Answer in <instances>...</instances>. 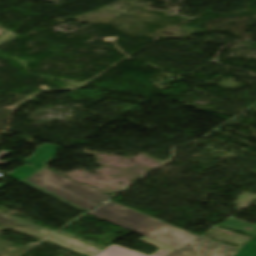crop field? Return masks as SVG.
<instances>
[{
	"instance_id": "obj_1",
	"label": "crop field",
	"mask_w": 256,
	"mask_h": 256,
	"mask_svg": "<svg viewBox=\"0 0 256 256\" xmlns=\"http://www.w3.org/2000/svg\"><path fill=\"white\" fill-rule=\"evenodd\" d=\"M90 215L177 249L167 256H233L239 251L111 201Z\"/></svg>"
},
{
	"instance_id": "obj_5",
	"label": "crop field",
	"mask_w": 256,
	"mask_h": 256,
	"mask_svg": "<svg viewBox=\"0 0 256 256\" xmlns=\"http://www.w3.org/2000/svg\"><path fill=\"white\" fill-rule=\"evenodd\" d=\"M247 225H249L253 228L251 230L247 231V230L244 229ZM219 226L226 227V228H229V229H233V230H236V231H239V232H243V233H246V234L251 235V236L256 235V225H253V224H250V223H247V222H243V221H239V220H235V219H231V218L225 220L224 222L219 224Z\"/></svg>"
},
{
	"instance_id": "obj_7",
	"label": "crop field",
	"mask_w": 256,
	"mask_h": 256,
	"mask_svg": "<svg viewBox=\"0 0 256 256\" xmlns=\"http://www.w3.org/2000/svg\"><path fill=\"white\" fill-rule=\"evenodd\" d=\"M256 236L234 256H256Z\"/></svg>"
},
{
	"instance_id": "obj_6",
	"label": "crop field",
	"mask_w": 256,
	"mask_h": 256,
	"mask_svg": "<svg viewBox=\"0 0 256 256\" xmlns=\"http://www.w3.org/2000/svg\"><path fill=\"white\" fill-rule=\"evenodd\" d=\"M37 170L33 169L32 167L26 165L24 167H20V168H16L15 170H13L12 172L8 173L7 175L20 180L26 176H28L29 174L35 172Z\"/></svg>"
},
{
	"instance_id": "obj_4",
	"label": "crop field",
	"mask_w": 256,
	"mask_h": 256,
	"mask_svg": "<svg viewBox=\"0 0 256 256\" xmlns=\"http://www.w3.org/2000/svg\"><path fill=\"white\" fill-rule=\"evenodd\" d=\"M49 241H53L60 246H63L74 252H77L86 256H95L102 251L100 249H97L87 244H84L82 242L76 241L74 239L61 235L59 233L52 236V238ZM96 249L99 251H95ZM91 251H95V252L93 253Z\"/></svg>"
},
{
	"instance_id": "obj_9",
	"label": "crop field",
	"mask_w": 256,
	"mask_h": 256,
	"mask_svg": "<svg viewBox=\"0 0 256 256\" xmlns=\"http://www.w3.org/2000/svg\"><path fill=\"white\" fill-rule=\"evenodd\" d=\"M2 33H0V35H1Z\"/></svg>"
},
{
	"instance_id": "obj_3",
	"label": "crop field",
	"mask_w": 256,
	"mask_h": 256,
	"mask_svg": "<svg viewBox=\"0 0 256 256\" xmlns=\"http://www.w3.org/2000/svg\"><path fill=\"white\" fill-rule=\"evenodd\" d=\"M138 241H141L143 243L152 245V246L160 249L159 251L155 252L154 254H152L150 256H165L175 250L173 248H170L168 246L160 244V243L153 241L151 239H148L146 237H143V238L139 239ZM98 256H148V255H145V254L112 244L106 250L101 252Z\"/></svg>"
},
{
	"instance_id": "obj_2",
	"label": "crop field",
	"mask_w": 256,
	"mask_h": 256,
	"mask_svg": "<svg viewBox=\"0 0 256 256\" xmlns=\"http://www.w3.org/2000/svg\"><path fill=\"white\" fill-rule=\"evenodd\" d=\"M21 183L80 212L89 211L111 197L92 187L80 185L46 167Z\"/></svg>"
},
{
	"instance_id": "obj_8",
	"label": "crop field",
	"mask_w": 256,
	"mask_h": 256,
	"mask_svg": "<svg viewBox=\"0 0 256 256\" xmlns=\"http://www.w3.org/2000/svg\"><path fill=\"white\" fill-rule=\"evenodd\" d=\"M4 185H0V188L3 187Z\"/></svg>"
}]
</instances>
